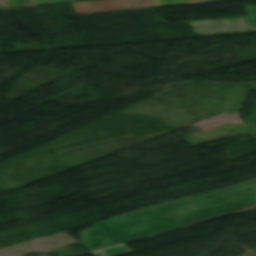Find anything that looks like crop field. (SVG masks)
Masks as SVG:
<instances>
[{
	"label": "crop field",
	"instance_id": "4",
	"mask_svg": "<svg viewBox=\"0 0 256 256\" xmlns=\"http://www.w3.org/2000/svg\"><path fill=\"white\" fill-rule=\"evenodd\" d=\"M102 252H104L107 256H120L128 253H132L133 251H131L128 247L123 245V246L103 250Z\"/></svg>",
	"mask_w": 256,
	"mask_h": 256
},
{
	"label": "crop field",
	"instance_id": "8",
	"mask_svg": "<svg viewBox=\"0 0 256 256\" xmlns=\"http://www.w3.org/2000/svg\"><path fill=\"white\" fill-rule=\"evenodd\" d=\"M95 256H103L100 252L94 253Z\"/></svg>",
	"mask_w": 256,
	"mask_h": 256
},
{
	"label": "crop field",
	"instance_id": "6",
	"mask_svg": "<svg viewBox=\"0 0 256 256\" xmlns=\"http://www.w3.org/2000/svg\"><path fill=\"white\" fill-rule=\"evenodd\" d=\"M251 8H256V6H246L249 16L245 17L244 23L256 28V16L254 17L251 16V11H250Z\"/></svg>",
	"mask_w": 256,
	"mask_h": 256
},
{
	"label": "crop field",
	"instance_id": "1",
	"mask_svg": "<svg viewBox=\"0 0 256 256\" xmlns=\"http://www.w3.org/2000/svg\"><path fill=\"white\" fill-rule=\"evenodd\" d=\"M256 206V197L208 208L194 197L93 224L79 232L90 252Z\"/></svg>",
	"mask_w": 256,
	"mask_h": 256
},
{
	"label": "crop field",
	"instance_id": "3",
	"mask_svg": "<svg viewBox=\"0 0 256 256\" xmlns=\"http://www.w3.org/2000/svg\"><path fill=\"white\" fill-rule=\"evenodd\" d=\"M252 196H256L255 188L233 186L196 198L208 207H213Z\"/></svg>",
	"mask_w": 256,
	"mask_h": 256
},
{
	"label": "crop field",
	"instance_id": "5",
	"mask_svg": "<svg viewBox=\"0 0 256 256\" xmlns=\"http://www.w3.org/2000/svg\"><path fill=\"white\" fill-rule=\"evenodd\" d=\"M29 1L32 3L33 6H38V5L73 2V1H80V0H29Z\"/></svg>",
	"mask_w": 256,
	"mask_h": 256
},
{
	"label": "crop field",
	"instance_id": "2",
	"mask_svg": "<svg viewBox=\"0 0 256 256\" xmlns=\"http://www.w3.org/2000/svg\"><path fill=\"white\" fill-rule=\"evenodd\" d=\"M244 17L221 18L187 24L194 27V31L204 36L256 32V29L243 24Z\"/></svg>",
	"mask_w": 256,
	"mask_h": 256
},
{
	"label": "crop field",
	"instance_id": "7",
	"mask_svg": "<svg viewBox=\"0 0 256 256\" xmlns=\"http://www.w3.org/2000/svg\"><path fill=\"white\" fill-rule=\"evenodd\" d=\"M240 186H248V187H255L256 188V181L249 182V183H246V184H242Z\"/></svg>",
	"mask_w": 256,
	"mask_h": 256
}]
</instances>
